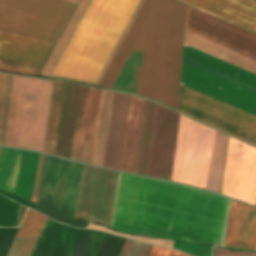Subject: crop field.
<instances>
[{
    "label": "crop field",
    "mask_w": 256,
    "mask_h": 256,
    "mask_svg": "<svg viewBox=\"0 0 256 256\" xmlns=\"http://www.w3.org/2000/svg\"><path fill=\"white\" fill-rule=\"evenodd\" d=\"M116 178L114 171L84 165L75 218L108 226Z\"/></svg>",
    "instance_id": "crop-field-6"
},
{
    "label": "crop field",
    "mask_w": 256,
    "mask_h": 256,
    "mask_svg": "<svg viewBox=\"0 0 256 256\" xmlns=\"http://www.w3.org/2000/svg\"><path fill=\"white\" fill-rule=\"evenodd\" d=\"M47 217L28 209L16 235L39 234ZM39 235L15 238L6 256H29Z\"/></svg>",
    "instance_id": "crop-field-11"
},
{
    "label": "crop field",
    "mask_w": 256,
    "mask_h": 256,
    "mask_svg": "<svg viewBox=\"0 0 256 256\" xmlns=\"http://www.w3.org/2000/svg\"><path fill=\"white\" fill-rule=\"evenodd\" d=\"M80 89L81 86L79 85L67 83L57 155L69 159L71 156Z\"/></svg>",
    "instance_id": "crop-field-10"
},
{
    "label": "crop field",
    "mask_w": 256,
    "mask_h": 256,
    "mask_svg": "<svg viewBox=\"0 0 256 256\" xmlns=\"http://www.w3.org/2000/svg\"><path fill=\"white\" fill-rule=\"evenodd\" d=\"M88 228L102 230V231L117 234L120 236L132 238V239H136V240H140V241H144V242H148V243H153V244H157V245H162V246H166V247H170V248H172V244H173V241H169V240L151 239V238H146V237L130 236V235H126V234L117 233V232L111 231L103 226L95 225L93 223H90Z\"/></svg>",
    "instance_id": "crop-field-16"
},
{
    "label": "crop field",
    "mask_w": 256,
    "mask_h": 256,
    "mask_svg": "<svg viewBox=\"0 0 256 256\" xmlns=\"http://www.w3.org/2000/svg\"><path fill=\"white\" fill-rule=\"evenodd\" d=\"M43 152L55 154L64 85L54 82Z\"/></svg>",
    "instance_id": "crop-field-12"
},
{
    "label": "crop field",
    "mask_w": 256,
    "mask_h": 256,
    "mask_svg": "<svg viewBox=\"0 0 256 256\" xmlns=\"http://www.w3.org/2000/svg\"><path fill=\"white\" fill-rule=\"evenodd\" d=\"M10 90L9 75L0 74V145L2 144L8 97Z\"/></svg>",
    "instance_id": "crop-field-14"
},
{
    "label": "crop field",
    "mask_w": 256,
    "mask_h": 256,
    "mask_svg": "<svg viewBox=\"0 0 256 256\" xmlns=\"http://www.w3.org/2000/svg\"><path fill=\"white\" fill-rule=\"evenodd\" d=\"M179 114L147 101L137 174L170 180Z\"/></svg>",
    "instance_id": "crop-field-4"
},
{
    "label": "crop field",
    "mask_w": 256,
    "mask_h": 256,
    "mask_svg": "<svg viewBox=\"0 0 256 256\" xmlns=\"http://www.w3.org/2000/svg\"><path fill=\"white\" fill-rule=\"evenodd\" d=\"M43 158H44V155L39 154L36 175H35V181H34V187H33V193H32V199H31V201L34 203H36V201H37Z\"/></svg>",
    "instance_id": "crop-field-17"
},
{
    "label": "crop field",
    "mask_w": 256,
    "mask_h": 256,
    "mask_svg": "<svg viewBox=\"0 0 256 256\" xmlns=\"http://www.w3.org/2000/svg\"><path fill=\"white\" fill-rule=\"evenodd\" d=\"M102 90L82 86L71 159L91 164Z\"/></svg>",
    "instance_id": "crop-field-8"
},
{
    "label": "crop field",
    "mask_w": 256,
    "mask_h": 256,
    "mask_svg": "<svg viewBox=\"0 0 256 256\" xmlns=\"http://www.w3.org/2000/svg\"><path fill=\"white\" fill-rule=\"evenodd\" d=\"M225 245L255 249L256 209L233 200Z\"/></svg>",
    "instance_id": "crop-field-9"
},
{
    "label": "crop field",
    "mask_w": 256,
    "mask_h": 256,
    "mask_svg": "<svg viewBox=\"0 0 256 256\" xmlns=\"http://www.w3.org/2000/svg\"><path fill=\"white\" fill-rule=\"evenodd\" d=\"M216 256H256L253 252H230L222 249L216 251Z\"/></svg>",
    "instance_id": "crop-field-19"
},
{
    "label": "crop field",
    "mask_w": 256,
    "mask_h": 256,
    "mask_svg": "<svg viewBox=\"0 0 256 256\" xmlns=\"http://www.w3.org/2000/svg\"><path fill=\"white\" fill-rule=\"evenodd\" d=\"M112 95H113V92L103 90L96 142H95V149H94V156H93V162H92L93 165H97L101 167L103 164Z\"/></svg>",
    "instance_id": "crop-field-13"
},
{
    "label": "crop field",
    "mask_w": 256,
    "mask_h": 256,
    "mask_svg": "<svg viewBox=\"0 0 256 256\" xmlns=\"http://www.w3.org/2000/svg\"><path fill=\"white\" fill-rule=\"evenodd\" d=\"M11 82L4 145L42 152L51 81L11 75Z\"/></svg>",
    "instance_id": "crop-field-3"
},
{
    "label": "crop field",
    "mask_w": 256,
    "mask_h": 256,
    "mask_svg": "<svg viewBox=\"0 0 256 256\" xmlns=\"http://www.w3.org/2000/svg\"><path fill=\"white\" fill-rule=\"evenodd\" d=\"M222 194L253 205L256 199V150L231 138Z\"/></svg>",
    "instance_id": "crop-field-7"
},
{
    "label": "crop field",
    "mask_w": 256,
    "mask_h": 256,
    "mask_svg": "<svg viewBox=\"0 0 256 256\" xmlns=\"http://www.w3.org/2000/svg\"><path fill=\"white\" fill-rule=\"evenodd\" d=\"M115 197L225 224L229 200L119 173ZM111 227L200 243L223 241V225L115 199Z\"/></svg>",
    "instance_id": "crop-field-1"
},
{
    "label": "crop field",
    "mask_w": 256,
    "mask_h": 256,
    "mask_svg": "<svg viewBox=\"0 0 256 256\" xmlns=\"http://www.w3.org/2000/svg\"><path fill=\"white\" fill-rule=\"evenodd\" d=\"M148 256H188L180 252L153 246Z\"/></svg>",
    "instance_id": "crop-field-18"
},
{
    "label": "crop field",
    "mask_w": 256,
    "mask_h": 256,
    "mask_svg": "<svg viewBox=\"0 0 256 256\" xmlns=\"http://www.w3.org/2000/svg\"><path fill=\"white\" fill-rule=\"evenodd\" d=\"M151 246L150 244L126 239L118 256H147Z\"/></svg>",
    "instance_id": "crop-field-15"
},
{
    "label": "crop field",
    "mask_w": 256,
    "mask_h": 256,
    "mask_svg": "<svg viewBox=\"0 0 256 256\" xmlns=\"http://www.w3.org/2000/svg\"><path fill=\"white\" fill-rule=\"evenodd\" d=\"M182 116L179 118L171 180L204 188L214 131ZM227 140V136L215 131L207 190L220 192Z\"/></svg>",
    "instance_id": "crop-field-2"
},
{
    "label": "crop field",
    "mask_w": 256,
    "mask_h": 256,
    "mask_svg": "<svg viewBox=\"0 0 256 256\" xmlns=\"http://www.w3.org/2000/svg\"><path fill=\"white\" fill-rule=\"evenodd\" d=\"M130 96L113 95L103 167H120ZM145 100L131 96L120 170L135 172Z\"/></svg>",
    "instance_id": "crop-field-5"
}]
</instances>
